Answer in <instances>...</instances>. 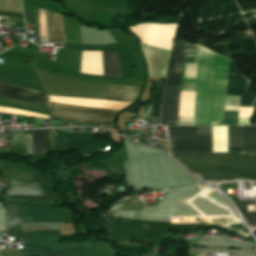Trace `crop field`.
<instances>
[{"mask_svg": "<svg viewBox=\"0 0 256 256\" xmlns=\"http://www.w3.org/2000/svg\"><path fill=\"white\" fill-rule=\"evenodd\" d=\"M183 49H184V45H174L171 59H170L171 62L168 67V76H167L166 84L180 85L181 72H177V71H180L181 63H175L174 70H177V71H173V66H174V62H182ZM198 50H199V45H185L183 62L197 63ZM181 70H182V67H181ZM186 71H187V65L185 68L184 78H186ZM189 71H190V65L188 68L187 78H189ZM192 72H193V65L191 68V75H190L191 79H192ZM195 72H196V65L194 68L193 79H195ZM231 73H235V75H231ZM249 84H250V81L247 78L243 77L241 74H239L236 71L233 62L229 60L226 95H240V106L254 107L256 103V95L247 93ZM173 85H165V90L180 91V86H173ZM192 91H194V85H193ZM179 96H180V92L165 91L163 107L178 108ZM194 99H195V93L181 92L180 104H179V116H193ZM252 110L253 108L240 107L239 117H250L252 114ZM177 112H178V109L163 108L161 124L177 125ZM192 120H193V117H178V125H192Z\"/></svg>", "mask_w": 256, "mask_h": 256, "instance_id": "8a807250", "label": "crop field"}, {"mask_svg": "<svg viewBox=\"0 0 256 256\" xmlns=\"http://www.w3.org/2000/svg\"><path fill=\"white\" fill-rule=\"evenodd\" d=\"M174 144L171 153L212 152L211 134H197V127H167ZM213 152H227L225 126L211 127ZM227 142L241 141L240 126H226ZM198 133H210L209 128H198ZM243 154L256 156V126H241ZM173 142V139H171ZM241 147L240 142L228 143ZM228 152L242 153V148H228Z\"/></svg>", "mask_w": 256, "mask_h": 256, "instance_id": "ac0d7876", "label": "crop field"}, {"mask_svg": "<svg viewBox=\"0 0 256 256\" xmlns=\"http://www.w3.org/2000/svg\"><path fill=\"white\" fill-rule=\"evenodd\" d=\"M181 164H229L256 168V158L234 154H171ZM229 165H182L195 176L210 182L249 180L256 182V169Z\"/></svg>", "mask_w": 256, "mask_h": 256, "instance_id": "34b2d1b8", "label": "crop field"}, {"mask_svg": "<svg viewBox=\"0 0 256 256\" xmlns=\"http://www.w3.org/2000/svg\"><path fill=\"white\" fill-rule=\"evenodd\" d=\"M139 89L140 88L131 87V86L107 84L100 99L132 103ZM51 108L102 114V115H110V116H114V114L118 112L115 110L78 107V106H70V105H62V104H54V103H51ZM78 112L59 111V110L51 109V115L49 118L62 120V121L77 122L81 124L113 126L112 125L113 117L78 113Z\"/></svg>", "mask_w": 256, "mask_h": 256, "instance_id": "412701ff", "label": "crop field"}, {"mask_svg": "<svg viewBox=\"0 0 256 256\" xmlns=\"http://www.w3.org/2000/svg\"><path fill=\"white\" fill-rule=\"evenodd\" d=\"M177 24H139L130 27L142 44L171 51Z\"/></svg>", "mask_w": 256, "mask_h": 256, "instance_id": "f4fd0767", "label": "crop field"}, {"mask_svg": "<svg viewBox=\"0 0 256 256\" xmlns=\"http://www.w3.org/2000/svg\"><path fill=\"white\" fill-rule=\"evenodd\" d=\"M96 134H66L60 131H54L55 139L64 147L68 149H77L82 155H90L94 151H102L108 145V142L101 140L97 142L94 138Z\"/></svg>", "mask_w": 256, "mask_h": 256, "instance_id": "dd49c442", "label": "crop field"}, {"mask_svg": "<svg viewBox=\"0 0 256 256\" xmlns=\"http://www.w3.org/2000/svg\"><path fill=\"white\" fill-rule=\"evenodd\" d=\"M0 92L48 100L47 95H45L43 93L24 89V88L15 87V86H12V85H9L6 83H0ZM3 93H0L1 97L26 100V101H32V102H36V103H40V104H44V105H49V102L44 101V100L26 98V97L3 94Z\"/></svg>", "mask_w": 256, "mask_h": 256, "instance_id": "e52e79f7", "label": "crop field"}, {"mask_svg": "<svg viewBox=\"0 0 256 256\" xmlns=\"http://www.w3.org/2000/svg\"><path fill=\"white\" fill-rule=\"evenodd\" d=\"M103 76L121 79L120 62L115 51H102Z\"/></svg>", "mask_w": 256, "mask_h": 256, "instance_id": "d8731c3e", "label": "crop field"}, {"mask_svg": "<svg viewBox=\"0 0 256 256\" xmlns=\"http://www.w3.org/2000/svg\"><path fill=\"white\" fill-rule=\"evenodd\" d=\"M49 41L63 42L62 15L46 11Z\"/></svg>", "mask_w": 256, "mask_h": 256, "instance_id": "5a996713", "label": "crop field"}, {"mask_svg": "<svg viewBox=\"0 0 256 256\" xmlns=\"http://www.w3.org/2000/svg\"><path fill=\"white\" fill-rule=\"evenodd\" d=\"M10 195H44L38 182L12 181Z\"/></svg>", "mask_w": 256, "mask_h": 256, "instance_id": "3316defc", "label": "crop field"}, {"mask_svg": "<svg viewBox=\"0 0 256 256\" xmlns=\"http://www.w3.org/2000/svg\"><path fill=\"white\" fill-rule=\"evenodd\" d=\"M6 201L10 202H26L35 205H50L55 201V198L47 196H7Z\"/></svg>", "mask_w": 256, "mask_h": 256, "instance_id": "28ad6ade", "label": "crop field"}, {"mask_svg": "<svg viewBox=\"0 0 256 256\" xmlns=\"http://www.w3.org/2000/svg\"><path fill=\"white\" fill-rule=\"evenodd\" d=\"M158 88L157 92L153 93L152 100H151V109H150V116L160 117V108H161V101L163 95V87L165 78H158Z\"/></svg>", "mask_w": 256, "mask_h": 256, "instance_id": "d1516ede", "label": "crop field"}, {"mask_svg": "<svg viewBox=\"0 0 256 256\" xmlns=\"http://www.w3.org/2000/svg\"><path fill=\"white\" fill-rule=\"evenodd\" d=\"M241 214L247 221L248 225H256V212H249V203L234 202ZM254 204V203H252Z\"/></svg>", "mask_w": 256, "mask_h": 256, "instance_id": "22f410ed", "label": "crop field"}, {"mask_svg": "<svg viewBox=\"0 0 256 256\" xmlns=\"http://www.w3.org/2000/svg\"><path fill=\"white\" fill-rule=\"evenodd\" d=\"M34 154H45V133L33 132Z\"/></svg>", "mask_w": 256, "mask_h": 256, "instance_id": "cbeb9de0", "label": "crop field"}, {"mask_svg": "<svg viewBox=\"0 0 256 256\" xmlns=\"http://www.w3.org/2000/svg\"><path fill=\"white\" fill-rule=\"evenodd\" d=\"M6 209V230L18 224L17 204L14 203V214H12V203H4Z\"/></svg>", "mask_w": 256, "mask_h": 256, "instance_id": "5142ce71", "label": "crop field"}, {"mask_svg": "<svg viewBox=\"0 0 256 256\" xmlns=\"http://www.w3.org/2000/svg\"><path fill=\"white\" fill-rule=\"evenodd\" d=\"M11 148L25 149V132H11Z\"/></svg>", "mask_w": 256, "mask_h": 256, "instance_id": "d9b57169", "label": "crop field"}, {"mask_svg": "<svg viewBox=\"0 0 256 256\" xmlns=\"http://www.w3.org/2000/svg\"><path fill=\"white\" fill-rule=\"evenodd\" d=\"M24 231L38 229H59L58 223H31L21 225Z\"/></svg>", "mask_w": 256, "mask_h": 256, "instance_id": "733c2abd", "label": "crop field"}, {"mask_svg": "<svg viewBox=\"0 0 256 256\" xmlns=\"http://www.w3.org/2000/svg\"><path fill=\"white\" fill-rule=\"evenodd\" d=\"M38 14H39L41 41H48L45 11L38 9Z\"/></svg>", "mask_w": 256, "mask_h": 256, "instance_id": "4a817a6b", "label": "crop field"}, {"mask_svg": "<svg viewBox=\"0 0 256 256\" xmlns=\"http://www.w3.org/2000/svg\"><path fill=\"white\" fill-rule=\"evenodd\" d=\"M24 253L27 255H31V256H62L57 253L40 250V249H36V248H31V247H27V246H25V248H24Z\"/></svg>", "mask_w": 256, "mask_h": 256, "instance_id": "bc2a9ffb", "label": "crop field"}, {"mask_svg": "<svg viewBox=\"0 0 256 256\" xmlns=\"http://www.w3.org/2000/svg\"><path fill=\"white\" fill-rule=\"evenodd\" d=\"M34 15H35V37L36 42L40 41V35H39V25H38V14L37 9L34 8Z\"/></svg>", "mask_w": 256, "mask_h": 256, "instance_id": "214f88e0", "label": "crop field"}]
</instances>
